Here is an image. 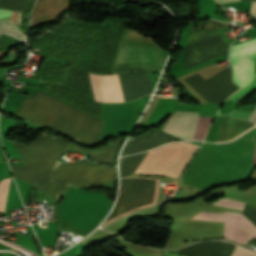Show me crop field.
Wrapping results in <instances>:
<instances>
[{
  "label": "crop field",
  "instance_id": "obj_5",
  "mask_svg": "<svg viewBox=\"0 0 256 256\" xmlns=\"http://www.w3.org/2000/svg\"><path fill=\"white\" fill-rule=\"evenodd\" d=\"M193 219L225 222V237L237 243H246L248 239L256 237L254 225L238 213L199 212Z\"/></svg>",
  "mask_w": 256,
  "mask_h": 256
},
{
  "label": "crop field",
  "instance_id": "obj_4",
  "mask_svg": "<svg viewBox=\"0 0 256 256\" xmlns=\"http://www.w3.org/2000/svg\"><path fill=\"white\" fill-rule=\"evenodd\" d=\"M21 72L17 81L49 93L99 119L103 114L102 105L94 101L88 74L86 71L69 67L67 80L62 84L41 83L36 75L22 78Z\"/></svg>",
  "mask_w": 256,
  "mask_h": 256
},
{
  "label": "crop field",
  "instance_id": "obj_14",
  "mask_svg": "<svg viewBox=\"0 0 256 256\" xmlns=\"http://www.w3.org/2000/svg\"><path fill=\"white\" fill-rule=\"evenodd\" d=\"M10 179L5 178L0 181V212H4Z\"/></svg>",
  "mask_w": 256,
  "mask_h": 256
},
{
  "label": "crop field",
  "instance_id": "obj_2",
  "mask_svg": "<svg viewBox=\"0 0 256 256\" xmlns=\"http://www.w3.org/2000/svg\"><path fill=\"white\" fill-rule=\"evenodd\" d=\"M12 143L25 167L10 165L15 178L26 181L55 200L72 185L81 187L116 179V168L57 161L71 145L46 134L31 145Z\"/></svg>",
  "mask_w": 256,
  "mask_h": 256
},
{
  "label": "crop field",
  "instance_id": "obj_13",
  "mask_svg": "<svg viewBox=\"0 0 256 256\" xmlns=\"http://www.w3.org/2000/svg\"><path fill=\"white\" fill-rule=\"evenodd\" d=\"M146 153L147 152L121 158L122 177L132 175Z\"/></svg>",
  "mask_w": 256,
  "mask_h": 256
},
{
  "label": "crop field",
  "instance_id": "obj_10",
  "mask_svg": "<svg viewBox=\"0 0 256 256\" xmlns=\"http://www.w3.org/2000/svg\"><path fill=\"white\" fill-rule=\"evenodd\" d=\"M174 141L173 136L166 135L159 131L150 132L143 137L130 138L123 155L137 153L148 149L155 148L167 142Z\"/></svg>",
  "mask_w": 256,
  "mask_h": 256
},
{
  "label": "crop field",
  "instance_id": "obj_9",
  "mask_svg": "<svg viewBox=\"0 0 256 256\" xmlns=\"http://www.w3.org/2000/svg\"><path fill=\"white\" fill-rule=\"evenodd\" d=\"M197 118L198 112H174L163 131L185 140H191Z\"/></svg>",
  "mask_w": 256,
  "mask_h": 256
},
{
  "label": "crop field",
  "instance_id": "obj_1",
  "mask_svg": "<svg viewBox=\"0 0 256 256\" xmlns=\"http://www.w3.org/2000/svg\"><path fill=\"white\" fill-rule=\"evenodd\" d=\"M123 22L106 20L101 24L86 23L75 15L33 41L42 58L35 72L41 81L60 83L65 69L75 66L95 73H108L119 47Z\"/></svg>",
  "mask_w": 256,
  "mask_h": 256
},
{
  "label": "crop field",
  "instance_id": "obj_18",
  "mask_svg": "<svg viewBox=\"0 0 256 256\" xmlns=\"http://www.w3.org/2000/svg\"><path fill=\"white\" fill-rule=\"evenodd\" d=\"M254 89H256V76L248 87L236 92L229 99H231L232 101L235 102L239 98H241L242 96H244V95L248 94L249 92L253 91Z\"/></svg>",
  "mask_w": 256,
  "mask_h": 256
},
{
  "label": "crop field",
  "instance_id": "obj_23",
  "mask_svg": "<svg viewBox=\"0 0 256 256\" xmlns=\"http://www.w3.org/2000/svg\"><path fill=\"white\" fill-rule=\"evenodd\" d=\"M217 2L224 3V2H235V1H239V0H216Z\"/></svg>",
  "mask_w": 256,
  "mask_h": 256
},
{
  "label": "crop field",
  "instance_id": "obj_15",
  "mask_svg": "<svg viewBox=\"0 0 256 256\" xmlns=\"http://www.w3.org/2000/svg\"><path fill=\"white\" fill-rule=\"evenodd\" d=\"M21 42L18 39L2 34L0 37V51L8 52L13 46Z\"/></svg>",
  "mask_w": 256,
  "mask_h": 256
},
{
  "label": "crop field",
  "instance_id": "obj_22",
  "mask_svg": "<svg viewBox=\"0 0 256 256\" xmlns=\"http://www.w3.org/2000/svg\"><path fill=\"white\" fill-rule=\"evenodd\" d=\"M250 14L256 17V2H252L251 4V9H250Z\"/></svg>",
  "mask_w": 256,
  "mask_h": 256
},
{
  "label": "crop field",
  "instance_id": "obj_19",
  "mask_svg": "<svg viewBox=\"0 0 256 256\" xmlns=\"http://www.w3.org/2000/svg\"><path fill=\"white\" fill-rule=\"evenodd\" d=\"M35 1V0H34ZM34 1L33 3H27V6H26V11H23V16H24V13H28V19H23L22 17V25H21V28L23 29V31L26 33L28 27H29V21H30V13H31V9H32V6L34 4ZM29 2H32V0H29ZM24 18H27V14H25Z\"/></svg>",
  "mask_w": 256,
  "mask_h": 256
},
{
  "label": "crop field",
  "instance_id": "obj_17",
  "mask_svg": "<svg viewBox=\"0 0 256 256\" xmlns=\"http://www.w3.org/2000/svg\"><path fill=\"white\" fill-rule=\"evenodd\" d=\"M213 204L242 210L244 202L226 199V198H220L217 201H215Z\"/></svg>",
  "mask_w": 256,
  "mask_h": 256
},
{
  "label": "crop field",
  "instance_id": "obj_7",
  "mask_svg": "<svg viewBox=\"0 0 256 256\" xmlns=\"http://www.w3.org/2000/svg\"><path fill=\"white\" fill-rule=\"evenodd\" d=\"M89 76L95 100L101 102L126 101L119 74L106 76L89 74Z\"/></svg>",
  "mask_w": 256,
  "mask_h": 256
},
{
  "label": "crop field",
  "instance_id": "obj_16",
  "mask_svg": "<svg viewBox=\"0 0 256 256\" xmlns=\"http://www.w3.org/2000/svg\"><path fill=\"white\" fill-rule=\"evenodd\" d=\"M227 115L237 117V118L248 119L252 122H255V120H256V107L253 111L233 110Z\"/></svg>",
  "mask_w": 256,
  "mask_h": 256
},
{
  "label": "crop field",
  "instance_id": "obj_12",
  "mask_svg": "<svg viewBox=\"0 0 256 256\" xmlns=\"http://www.w3.org/2000/svg\"><path fill=\"white\" fill-rule=\"evenodd\" d=\"M119 142H120V140L114 141V142L111 143L110 146H108L104 150H100V151H96V152L82 151V150H80L76 147H74V149H75V151H78V152H81V153H84V154L88 155L93 160L113 164L115 150H116Z\"/></svg>",
  "mask_w": 256,
  "mask_h": 256
},
{
  "label": "crop field",
  "instance_id": "obj_11",
  "mask_svg": "<svg viewBox=\"0 0 256 256\" xmlns=\"http://www.w3.org/2000/svg\"><path fill=\"white\" fill-rule=\"evenodd\" d=\"M253 126V123L223 116L215 142L233 140Z\"/></svg>",
  "mask_w": 256,
  "mask_h": 256
},
{
  "label": "crop field",
  "instance_id": "obj_21",
  "mask_svg": "<svg viewBox=\"0 0 256 256\" xmlns=\"http://www.w3.org/2000/svg\"><path fill=\"white\" fill-rule=\"evenodd\" d=\"M11 14H12V11L0 9V18L11 16Z\"/></svg>",
  "mask_w": 256,
  "mask_h": 256
},
{
  "label": "crop field",
  "instance_id": "obj_6",
  "mask_svg": "<svg viewBox=\"0 0 256 256\" xmlns=\"http://www.w3.org/2000/svg\"><path fill=\"white\" fill-rule=\"evenodd\" d=\"M256 57V37L237 45L230 52L233 68V82L240 88L248 85L254 75V60Z\"/></svg>",
  "mask_w": 256,
  "mask_h": 256
},
{
  "label": "crop field",
  "instance_id": "obj_3",
  "mask_svg": "<svg viewBox=\"0 0 256 256\" xmlns=\"http://www.w3.org/2000/svg\"><path fill=\"white\" fill-rule=\"evenodd\" d=\"M16 115L52 127L90 145L98 144L103 123L40 91L32 98L24 99Z\"/></svg>",
  "mask_w": 256,
  "mask_h": 256
},
{
  "label": "crop field",
  "instance_id": "obj_8",
  "mask_svg": "<svg viewBox=\"0 0 256 256\" xmlns=\"http://www.w3.org/2000/svg\"><path fill=\"white\" fill-rule=\"evenodd\" d=\"M162 63L161 49L121 45L114 66Z\"/></svg>",
  "mask_w": 256,
  "mask_h": 256
},
{
  "label": "crop field",
  "instance_id": "obj_20",
  "mask_svg": "<svg viewBox=\"0 0 256 256\" xmlns=\"http://www.w3.org/2000/svg\"><path fill=\"white\" fill-rule=\"evenodd\" d=\"M231 256H256V253L237 247Z\"/></svg>",
  "mask_w": 256,
  "mask_h": 256
}]
</instances>
